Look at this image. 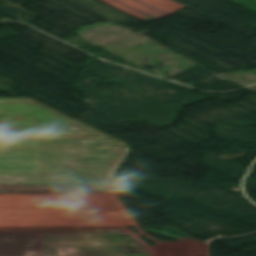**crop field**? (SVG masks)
<instances>
[{
	"label": "crop field",
	"instance_id": "8a807250",
	"mask_svg": "<svg viewBox=\"0 0 256 256\" xmlns=\"http://www.w3.org/2000/svg\"><path fill=\"white\" fill-rule=\"evenodd\" d=\"M41 139L114 138L31 98H0V170L117 169L126 154L98 147L109 141Z\"/></svg>",
	"mask_w": 256,
	"mask_h": 256
},
{
	"label": "crop field",
	"instance_id": "ac0d7876",
	"mask_svg": "<svg viewBox=\"0 0 256 256\" xmlns=\"http://www.w3.org/2000/svg\"><path fill=\"white\" fill-rule=\"evenodd\" d=\"M115 170H15L0 171V183L113 182Z\"/></svg>",
	"mask_w": 256,
	"mask_h": 256
},
{
	"label": "crop field",
	"instance_id": "34b2d1b8",
	"mask_svg": "<svg viewBox=\"0 0 256 256\" xmlns=\"http://www.w3.org/2000/svg\"><path fill=\"white\" fill-rule=\"evenodd\" d=\"M110 143H111V146H120V147H111V156L116 155V154H120V153H124V152L127 151L124 144H122L118 141H110ZM112 149H121V150H112Z\"/></svg>",
	"mask_w": 256,
	"mask_h": 256
}]
</instances>
